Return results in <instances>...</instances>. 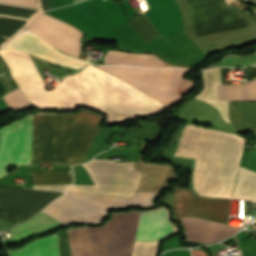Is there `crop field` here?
<instances>
[{
    "label": "crop field",
    "mask_w": 256,
    "mask_h": 256,
    "mask_svg": "<svg viewBox=\"0 0 256 256\" xmlns=\"http://www.w3.org/2000/svg\"><path fill=\"white\" fill-rule=\"evenodd\" d=\"M103 117L80 108L77 113L37 112L0 127V164H33L48 161L82 163Z\"/></svg>",
    "instance_id": "obj_1"
},
{
    "label": "crop field",
    "mask_w": 256,
    "mask_h": 256,
    "mask_svg": "<svg viewBox=\"0 0 256 256\" xmlns=\"http://www.w3.org/2000/svg\"><path fill=\"white\" fill-rule=\"evenodd\" d=\"M139 215L112 213L103 226L68 229L71 256H130Z\"/></svg>",
    "instance_id": "obj_2"
},
{
    "label": "crop field",
    "mask_w": 256,
    "mask_h": 256,
    "mask_svg": "<svg viewBox=\"0 0 256 256\" xmlns=\"http://www.w3.org/2000/svg\"><path fill=\"white\" fill-rule=\"evenodd\" d=\"M155 194L156 193L136 192L131 199H126L67 192L64 195L57 198L56 200H54L52 203H50L42 211L50 214L51 216L55 217L56 219L62 222L79 220L96 221L105 214L108 207L124 204H148ZM158 195L159 193L156 194V196L151 200V202L148 205H125L113 207L109 208L106 214L96 222H79L98 223L107 216L110 209L114 208L126 206L150 207V205L153 203V201L156 199ZM79 222H70L65 224Z\"/></svg>",
    "instance_id": "obj_3"
},
{
    "label": "crop field",
    "mask_w": 256,
    "mask_h": 256,
    "mask_svg": "<svg viewBox=\"0 0 256 256\" xmlns=\"http://www.w3.org/2000/svg\"><path fill=\"white\" fill-rule=\"evenodd\" d=\"M99 67L127 81L146 94L163 101L168 106L174 105L180 100L181 97L177 94L183 87L190 89L194 86L193 82L181 80L184 72L181 69H138L122 66Z\"/></svg>",
    "instance_id": "obj_4"
},
{
    "label": "crop field",
    "mask_w": 256,
    "mask_h": 256,
    "mask_svg": "<svg viewBox=\"0 0 256 256\" xmlns=\"http://www.w3.org/2000/svg\"><path fill=\"white\" fill-rule=\"evenodd\" d=\"M62 193L0 185V218L19 224L33 216Z\"/></svg>",
    "instance_id": "obj_5"
},
{
    "label": "crop field",
    "mask_w": 256,
    "mask_h": 256,
    "mask_svg": "<svg viewBox=\"0 0 256 256\" xmlns=\"http://www.w3.org/2000/svg\"><path fill=\"white\" fill-rule=\"evenodd\" d=\"M217 100L256 101V79L243 85L218 86ZM229 122L237 132L250 130L256 139V102L228 101Z\"/></svg>",
    "instance_id": "obj_6"
},
{
    "label": "crop field",
    "mask_w": 256,
    "mask_h": 256,
    "mask_svg": "<svg viewBox=\"0 0 256 256\" xmlns=\"http://www.w3.org/2000/svg\"><path fill=\"white\" fill-rule=\"evenodd\" d=\"M174 217L198 216L227 224L229 199L197 197L189 191H173L172 205Z\"/></svg>",
    "instance_id": "obj_7"
},
{
    "label": "crop field",
    "mask_w": 256,
    "mask_h": 256,
    "mask_svg": "<svg viewBox=\"0 0 256 256\" xmlns=\"http://www.w3.org/2000/svg\"><path fill=\"white\" fill-rule=\"evenodd\" d=\"M28 29L52 46L78 57L82 33L74 27L41 13Z\"/></svg>",
    "instance_id": "obj_8"
},
{
    "label": "crop field",
    "mask_w": 256,
    "mask_h": 256,
    "mask_svg": "<svg viewBox=\"0 0 256 256\" xmlns=\"http://www.w3.org/2000/svg\"><path fill=\"white\" fill-rule=\"evenodd\" d=\"M179 230L169 221L166 207L141 212L135 240L160 241Z\"/></svg>",
    "instance_id": "obj_9"
},
{
    "label": "crop field",
    "mask_w": 256,
    "mask_h": 256,
    "mask_svg": "<svg viewBox=\"0 0 256 256\" xmlns=\"http://www.w3.org/2000/svg\"><path fill=\"white\" fill-rule=\"evenodd\" d=\"M9 256H59L57 235L34 239L25 246L11 251Z\"/></svg>",
    "instance_id": "obj_10"
},
{
    "label": "crop field",
    "mask_w": 256,
    "mask_h": 256,
    "mask_svg": "<svg viewBox=\"0 0 256 256\" xmlns=\"http://www.w3.org/2000/svg\"><path fill=\"white\" fill-rule=\"evenodd\" d=\"M105 63L124 64V65H137V66H170V64L158 59L151 54H133L122 53L118 51H109L104 57Z\"/></svg>",
    "instance_id": "obj_11"
},
{
    "label": "crop field",
    "mask_w": 256,
    "mask_h": 256,
    "mask_svg": "<svg viewBox=\"0 0 256 256\" xmlns=\"http://www.w3.org/2000/svg\"><path fill=\"white\" fill-rule=\"evenodd\" d=\"M58 223L53 218L47 216L43 212H40L34 218L29 221L10 229V232L13 236L9 237L10 242L17 241L19 239L25 238L52 226H55Z\"/></svg>",
    "instance_id": "obj_12"
},
{
    "label": "crop field",
    "mask_w": 256,
    "mask_h": 256,
    "mask_svg": "<svg viewBox=\"0 0 256 256\" xmlns=\"http://www.w3.org/2000/svg\"><path fill=\"white\" fill-rule=\"evenodd\" d=\"M34 184L72 183L71 170H29Z\"/></svg>",
    "instance_id": "obj_13"
},
{
    "label": "crop field",
    "mask_w": 256,
    "mask_h": 256,
    "mask_svg": "<svg viewBox=\"0 0 256 256\" xmlns=\"http://www.w3.org/2000/svg\"><path fill=\"white\" fill-rule=\"evenodd\" d=\"M219 66H233V67H243L251 64H256V51L247 56H237L228 54L223 56L218 62Z\"/></svg>",
    "instance_id": "obj_14"
},
{
    "label": "crop field",
    "mask_w": 256,
    "mask_h": 256,
    "mask_svg": "<svg viewBox=\"0 0 256 256\" xmlns=\"http://www.w3.org/2000/svg\"><path fill=\"white\" fill-rule=\"evenodd\" d=\"M60 256H70L68 236H58Z\"/></svg>",
    "instance_id": "obj_15"
},
{
    "label": "crop field",
    "mask_w": 256,
    "mask_h": 256,
    "mask_svg": "<svg viewBox=\"0 0 256 256\" xmlns=\"http://www.w3.org/2000/svg\"><path fill=\"white\" fill-rule=\"evenodd\" d=\"M11 223V222H10ZM0 219V231L14 227L15 225L10 224Z\"/></svg>",
    "instance_id": "obj_16"
},
{
    "label": "crop field",
    "mask_w": 256,
    "mask_h": 256,
    "mask_svg": "<svg viewBox=\"0 0 256 256\" xmlns=\"http://www.w3.org/2000/svg\"><path fill=\"white\" fill-rule=\"evenodd\" d=\"M193 256H207L204 252L201 250H192Z\"/></svg>",
    "instance_id": "obj_17"
},
{
    "label": "crop field",
    "mask_w": 256,
    "mask_h": 256,
    "mask_svg": "<svg viewBox=\"0 0 256 256\" xmlns=\"http://www.w3.org/2000/svg\"><path fill=\"white\" fill-rule=\"evenodd\" d=\"M11 1H20V2H29V3L41 4L40 0H11Z\"/></svg>",
    "instance_id": "obj_18"
},
{
    "label": "crop field",
    "mask_w": 256,
    "mask_h": 256,
    "mask_svg": "<svg viewBox=\"0 0 256 256\" xmlns=\"http://www.w3.org/2000/svg\"><path fill=\"white\" fill-rule=\"evenodd\" d=\"M6 168H7L6 166L0 165V177L5 175Z\"/></svg>",
    "instance_id": "obj_19"
},
{
    "label": "crop field",
    "mask_w": 256,
    "mask_h": 256,
    "mask_svg": "<svg viewBox=\"0 0 256 256\" xmlns=\"http://www.w3.org/2000/svg\"><path fill=\"white\" fill-rule=\"evenodd\" d=\"M78 1H81V0H74V3H75V2H78Z\"/></svg>",
    "instance_id": "obj_20"
}]
</instances>
